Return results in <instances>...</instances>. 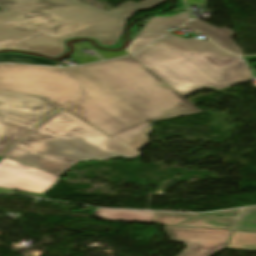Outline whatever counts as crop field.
Masks as SVG:
<instances>
[{
	"instance_id": "d9b57169",
	"label": "crop field",
	"mask_w": 256,
	"mask_h": 256,
	"mask_svg": "<svg viewBox=\"0 0 256 256\" xmlns=\"http://www.w3.org/2000/svg\"><path fill=\"white\" fill-rule=\"evenodd\" d=\"M226 249L256 251V233L234 231Z\"/></svg>"
},
{
	"instance_id": "f4fd0767",
	"label": "crop field",
	"mask_w": 256,
	"mask_h": 256,
	"mask_svg": "<svg viewBox=\"0 0 256 256\" xmlns=\"http://www.w3.org/2000/svg\"><path fill=\"white\" fill-rule=\"evenodd\" d=\"M81 67L148 121L200 111L131 56Z\"/></svg>"
},
{
	"instance_id": "3316defc",
	"label": "crop field",
	"mask_w": 256,
	"mask_h": 256,
	"mask_svg": "<svg viewBox=\"0 0 256 256\" xmlns=\"http://www.w3.org/2000/svg\"><path fill=\"white\" fill-rule=\"evenodd\" d=\"M149 132H151V127L150 123L148 122L121 135H118L113 139L138 152L137 150L149 143L145 136V134Z\"/></svg>"
},
{
	"instance_id": "28ad6ade",
	"label": "crop field",
	"mask_w": 256,
	"mask_h": 256,
	"mask_svg": "<svg viewBox=\"0 0 256 256\" xmlns=\"http://www.w3.org/2000/svg\"><path fill=\"white\" fill-rule=\"evenodd\" d=\"M152 212L97 209L95 216L106 220L150 223Z\"/></svg>"
},
{
	"instance_id": "dd49c442",
	"label": "crop field",
	"mask_w": 256,
	"mask_h": 256,
	"mask_svg": "<svg viewBox=\"0 0 256 256\" xmlns=\"http://www.w3.org/2000/svg\"><path fill=\"white\" fill-rule=\"evenodd\" d=\"M60 109L41 97L0 91V111L6 113L5 120L22 126L33 128Z\"/></svg>"
},
{
	"instance_id": "bc2a9ffb",
	"label": "crop field",
	"mask_w": 256,
	"mask_h": 256,
	"mask_svg": "<svg viewBox=\"0 0 256 256\" xmlns=\"http://www.w3.org/2000/svg\"><path fill=\"white\" fill-rule=\"evenodd\" d=\"M234 229L256 231V207L243 209Z\"/></svg>"
},
{
	"instance_id": "5142ce71",
	"label": "crop field",
	"mask_w": 256,
	"mask_h": 256,
	"mask_svg": "<svg viewBox=\"0 0 256 256\" xmlns=\"http://www.w3.org/2000/svg\"><path fill=\"white\" fill-rule=\"evenodd\" d=\"M164 0H145L144 2L138 4L132 1H126L122 5L108 11L110 13L124 16L130 18L133 12L135 11H145L150 10L160 4H162Z\"/></svg>"
},
{
	"instance_id": "4177f3b9",
	"label": "crop field",
	"mask_w": 256,
	"mask_h": 256,
	"mask_svg": "<svg viewBox=\"0 0 256 256\" xmlns=\"http://www.w3.org/2000/svg\"><path fill=\"white\" fill-rule=\"evenodd\" d=\"M2 157L0 156V159H1Z\"/></svg>"
},
{
	"instance_id": "d1516ede",
	"label": "crop field",
	"mask_w": 256,
	"mask_h": 256,
	"mask_svg": "<svg viewBox=\"0 0 256 256\" xmlns=\"http://www.w3.org/2000/svg\"><path fill=\"white\" fill-rule=\"evenodd\" d=\"M240 211L241 210H239L236 217H230V216L217 217V216H211V215H200L179 225L192 226V227H205V228L232 229Z\"/></svg>"
},
{
	"instance_id": "5a996713",
	"label": "crop field",
	"mask_w": 256,
	"mask_h": 256,
	"mask_svg": "<svg viewBox=\"0 0 256 256\" xmlns=\"http://www.w3.org/2000/svg\"><path fill=\"white\" fill-rule=\"evenodd\" d=\"M186 26L207 35L212 41H214L222 48L231 51L235 54L243 55L241 50L231 40V38L234 35L232 31L225 28L216 29L198 20H193L189 22Z\"/></svg>"
},
{
	"instance_id": "a9b5d70f",
	"label": "crop field",
	"mask_w": 256,
	"mask_h": 256,
	"mask_svg": "<svg viewBox=\"0 0 256 256\" xmlns=\"http://www.w3.org/2000/svg\"><path fill=\"white\" fill-rule=\"evenodd\" d=\"M64 70H65V69H64ZM81 95H82V94H81ZM77 99H78V98H77ZM77 99H76V100H77ZM76 100H75V101H76Z\"/></svg>"
},
{
	"instance_id": "34b2d1b8",
	"label": "crop field",
	"mask_w": 256,
	"mask_h": 256,
	"mask_svg": "<svg viewBox=\"0 0 256 256\" xmlns=\"http://www.w3.org/2000/svg\"><path fill=\"white\" fill-rule=\"evenodd\" d=\"M132 56L184 97L252 79L242 59L194 37L170 34Z\"/></svg>"
},
{
	"instance_id": "4a817a6b",
	"label": "crop field",
	"mask_w": 256,
	"mask_h": 256,
	"mask_svg": "<svg viewBox=\"0 0 256 256\" xmlns=\"http://www.w3.org/2000/svg\"><path fill=\"white\" fill-rule=\"evenodd\" d=\"M0 62H21V63L56 66V63L53 61L37 58L30 55H21V54H0Z\"/></svg>"
},
{
	"instance_id": "412701ff",
	"label": "crop field",
	"mask_w": 256,
	"mask_h": 256,
	"mask_svg": "<svg viewBox=\"0 0 256 256\" xmlns=\"http://www.w3.org/2000/svg\"><path fill=\"white\" fill-rule=\"evenodd\" d=\"M117 155L139 156L62 110L13 144L5 157L61 176L79 161Z\"/></svg>"
},
{
	"instance_id": "e52e79f7",
	"label": "crop field",
	"mask_w": 256,
	"mask_h": 256,
	"mask_svg": "<svg viewBox=\"0 0 256 256\" xmlns=\"http://www.w3.org/2000/svg\"><path fill=\"white\" fill-rule=\"evenodd\" d=\"M58 176L37 168L3 158L0 162V187L44 194Z\"/></svg>"
},
{
	"instance_id": "ac0d7876",
	"label": "crop field",
	"mask_w": 256,
	"mask_h": 256,
	"mask_svg": "<svg viewBox=\"0 0 256 256\" xmlns=\"http://www.w3.org/2000/svg\"><path fill=\"white\" fill-rule=\"evenodd\" d=\"M62 68L18 64L0 65V90L42 96L112 137L144 122L80 67Z\"/></svg>"
},
{
	"instance_id": "733c2abd",
	"label": "crop field",
	"mask_w": 256,
	"mask_h": 256,
	"mask_svg": "<svg viewBox=\"0 0 256 256\" xmlns=\"http://www.w3.org/2000/svg\"><path fill=\"white\" fill-rule=\"evenodd\" d=\"M197 215L155 212L152 223L176 225Z\"/></svg>"
},
{
	"instance_id": "cbeb9de0",
	"label": "crop field",
	"mask_w": 256,
	"mask_h": 256,
	"mask_svg": "<svg viewBox=\"0 0 256 256\" xmlns=\"http://www.w3.org/2000/svg\"><path fill=\"white\" fill-rule=\"evenodd\" d=\"M4 114L0 113V155L3 156L8 145L23 135L28 128L8 124L3 121Z\"/></svg>"
},
{
	"instance_id": "8a807250",
	"label": "crop field",
	"mask_w": 256,
	"mask_h": 256,
	"mask_svg": "<svg viewBox=\"0 0 256 256\" xmlns=\"http://www.w3.org/2000/svg\"><path fill=\"white\" fill-rule=\"evenodd\" d=\"M0 45L57 57L64 40L90 37L116 47L128 19L78 0H0Z\"/></svg>"
},
{
	"instance_id": "d8731c3e",
	"label": "crop field",
	"mask_w": 256,
	"mask_h": 256,
	"mask_svg": "<svg viewBox=\"0 0 256 256\" xmlns=\"http://www.w3.org/2000/svg\"><path fill=\"white\" fill-rule=\"evenodd\" d=\"M172 241L185 242L187 247L178 256H209L224 247L230 231L167 226Z\"/></svg>"
},
{
	"instance_id": "22f410ed",
	"label": "crop field",
	"mask_w": 256,
	"mask_h": 256,
	"mask_svg": "<svg viewBox=\"0 0 256 256\" xmlns=\"http://www.w3.org/2000/svg\"><path fill=\"white\" fill-rule=\"evenodd\" d=\"M186 20H187V16L185 12L170 18L153 17L148 22V24L143 29H141L140 32L164 34L168 32L167 31L168 29L172 27H176L184 23Z\"/></svg>"
},
{
	"instance_id": "00972430",
	"label": "crop field",
	"mask_w": 256,
	"mask_h": 256,
	"mask_svg": "<svg viewBox=\"0 0 256 256\" xmlns=\"http://www.w3.org/2000/svg\"><path fill=\"white\" fill-rule=\"evenodd\" d=\"M2 48H13V47L0 46V49H2Z\"/></svg>"
},
{
	"instance_id": "dafd665d",
	"label": "crop field",
	"mask_w": 256,
	"mask_h": 256,
	"mask_svg": "<svg viewBox=\"0 0 256 256\" xmlns=\"http://www.w3.org/2000/svg\"><path fill=\"white\" fill-rule=\"evenodd\" d=\"M71 59L78 64L98 61L95 57H83V58H71Z\"/></svg>"
},
{
	"instance_id": "214f88e0",
	"label": "crop field",
	"mask_w": 256,
	"mask_h": 256,
	"mask_svg": "<svg viewBox=\"0 0 256 256\" xmlns=\"http://www.w3.org/2000/svg\"><path fill=\"white\" fill-rule=\"evenodd\" d=\"M158 37L160 36L139 34L126 50L130 53Z\"/></svg>"
},
{
	"instance_id": "92a150f3",
	"label": "crop field",
	"mask_w": 256,
	"mask_h": 256,
	"mask_svg": "<svg viewBox=\"0 0 256 256\" xmlns=\"http://www.w3.org/2000/svg\"><path fill=\"white\" fill-rule=\"evenodd\" d=\"M100 54H102L106 59L109 58H113V57H118V56H122V55H126L128 54L127 51L122 50L119 52H111V51H104V50H100L98 48H95Z\"/></svg>"
}]
</instances>
